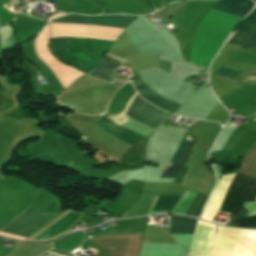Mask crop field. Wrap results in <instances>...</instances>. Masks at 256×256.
Instances as JSON below:
<instances>
[{
  "mask_svg": "<svg viewBox=\"0 0 256 256\" xmlns=\"http://www.w3.org/2000/svg\"><path fill=\"white\" fill-rule=\"evenodd\" d=\"M235 176L226 174L219 179L201 219L213 223L212 217L217 214ZM255 199L256 179L238 174L219 213L235 216L231 224L233 226L256 228V216L243 217L244 202H254Z\"/></svg>",
  "mask_w": 256,
  "mask_h": 256,
  "instance_id": "obj_1",
  "label": "crop field"
},
{
  "mask_svg": "<svg viewBox=\"0 0 256 256\" xmlns=\"http://www.w3.org/2000/svg\"><path fill=\"white\" fill-rule=\"evenodd\" d=\"M240 21L237 16L210 10L193 37L189 63L208 70L212 58Z\"/></svg>",
  "mask_w": 256,
  "mask_h": 256,
  "instance_id": "obj_2",
  "label": "crop field"
},
{
  "mask_svg": "<svg viewBox=\"0 0 256 256\" xmlns=\"http://www.w3.org/2000/svg\"><path fill=\"white\" fill-rule=\"evenodd\" d=\"M137 16L108 15L88 17L83 15H68L51 21L57 24H73L103 27L126 28ZM50 24L52 37H87L95 39L116 40L125 29L103 28L73 25Z\"/></svg>",
  "mask_w": 256,
  "mask_h": 256,
  "instance_id": "obj_3",
  "label": "crop field"
},
{
  "mask_svg": "<svg viewBox=\"0 0 256 256\" xmlns=\"http://www.w3.org/2000/svg\"><path fill=\"white\" fill-rule=\"evenodd\" d=\"M136 96L133 98V100L136 98ZM133 100L131 101V103L133 102ZM130 104L128 105V107L130 106ZM125 115L143 124H146L154 129H156L162 122H164L166 119H168L171 116L170 114L162 112L156 109L155 107L151 106L146 101H144L140 96H138L135 99V101L126 111ZM125 118L126 116L124 115L116 114V115H112L110 120L121 124ZM93 124L99 126L100 128L104 129L105 131L111 133L116 137L127 129L103 117H101L97 122ZM118 138L134 146L135 144L139 143L142 139H144L145 136L137 134L130 130H127L123 134H121Z\"/></svg>",
  "mask_w": 256,
  "mask_h": 256,
  "instance_id": "obj_4",
  "label": "crop field"
},
{
  "mask_svg": "<svg viewBox=\"0 0 256 256\" xmlns=\"http://www.w3.org/2000/svg\"><path fill=\"white\" fill-rule=\"evenodd\" d=\"M49 36L50 30L49 25H47L36 38L34 47L38 57L55 73L60 83L66 89L83 73L67 67L53 57L47 46Z\"/></svg>",
  "mask_w": 256,
  "mask_h": 256,
  "instance_id": "obj_5",
  "label": "crop field"
},
{
  "mask_svg": "<svg viewBox=\"0 0 256 256\" xmlns=\"http://www.w3.org/2000/svg\"><path fill=\"white\" fill-rule=\"evenodd\" d=\"M50 49L64 63L84 73L97 65L96 62L80 51L73 38H51Z\"/></svg>",
  "mask_w": 256,
  "mask_h": 256,
  "instance_id": "obj_6",
  "label": "crop field"
},
{
  "mask_svg": "<svg viewBox=\"0 0 256 256\" xmlns=\"http://www.w3.org/2000/svg\"><path fill=\"white\" fill-rule=\"evenodd\" d=\"M36 214V212L25 211L19 217L16 218L14 222H12L9 226H7L0 234L11 237L15 234L20 228H22L28 221H30ZM57 214H49V213H40L36 216L31 222H29L23 229H21L14 238L25 239L51 218H53Z\"/></svg>",
  "mask_w": 256,
  "mask_h": 256,
  "instance_id": "obj_7",
  "label": "crop field"
},
{
  "mask_svg": "<svg viewBox=\"0 0 256 256\" xmlns=\"http://www.w3.org/2000/svg\"><path fill=\"white\" fill-rule=\"evenodd\" d=\"M215 225L198 222L188 256H208L213 242Z\"/></svg>",
  "mask_w": 256,
  "mask_h": 256,
  "instance_id": "obj_8",
  "label": "crop field"
},
{
  "mask_svg": "<svg viewBox=\"0 0 256 256\" xmlns=\"http://www.w3.org/2000/svg\"><path fill=\"white\" fill-rule=\"evenodd\" d=\"M184 137V136H183ZM183 139V138H182ZM182 141V140H181ZM195 138L185 136L178 151L174 155L170 163H168L163 175L160 178H175L179 170L188 160L193 148Z\"/></svg>",
  "mask_w": 256,
  "mask_h": 256,
  "instance_id": "obj_9",
  "label": "crop field"
},
{
  "mask_svg": "<svg viewBox=\"0 0 256 256\" xmlns=\"http://www.w3.org/2000/svg\"><path fill=\"white\" fill-rule=\"evenodd\" d=\"M143 83V82H141ZM145 84V83H143ZM148 88H150L153 92H155L157 95H159L160 97H162L163 99L172 102L174 104H177L179 106H181V104L174 102L168 98H166L165 96L161 95L160 93L156 92L153 88H151L149 85L145 84ZM146 86L142 85V84H137L135 87V89L137 90V92L140 94V96L145 99L146 101H148L149 103L163 109L166 111H169L171 113H174L176 111V109L179 107L177 105H174L172 103H169L165 100H163L162 98H160L159 96H157L155 93H153L150 89H148ZM179 109V108H178ZM177 109V110H178Z\"/></svg>",
  "mask_w": 256,
  "mask_h": 256,
  "instance_id": "obj_10",
  "label": "crop field"
},
{
  "mask_svg": "<svg viewBox=\"0 0 256 256\" xmlns=\"http://www.w3.org/2000/svg\"><path fill=\"white\" fill-rule=\"evenodd\" d=\"M255 3L251 0H218L213 10L244 17Z\"/></svg>",
  "mask_w": 256,
  "mask_h": 256,
  "instance_id": "obj_11",
  "label": "crop field"
},
{
  "mask_svg": "<svg viewBox=\"0 0 256 256\" xmlns=\"http://www.w3.org/2000/svg\"><path fill=\"white\" fill-rule=\"evenodd\" d=\"M214 77L230 80L240 84H256V74H248L222 67Z\"/></svg>",
  "mask_w": 256,
  "mask_h": 256,
  "instance_id": "obj_12",
  "label": "crop field"
},
{
  "mask_svg": "<svg viewBox=\"0 0 256 256\" xmlns=\"http://www.w3.org/2000/svg\"><path fill=\"white\" fill-rule=\"evenodd\" d=\"M119 64L120 62L105 56L103 61L95 66L93 69H91L89 72H87V74L109 82L114 76V73L111 71Z\"/></svg>",
  "mask_w": 256,
  "mask_h": 256,
  "instance_id": "obj_13",
  "label": "crop field"
},
{
  "mask_svg": "<svg viewBox=\"0 0 256 256\" xmlns=\"http://www.w3.org/2000/svg\"><path fill=\"white\" fill-rule=\"evenodd\" d=\"M256 28V8L249 14L242 25L237 29L236 34L231 38L229 43L241 45L243 41L251 34Z\"/></svg>",
  "mask_w": 256,
  "mask_h": 256,
  "instance_id": "obj_14",
  "label": "crop field"
},
{
  "mask_svg": "<svg viewBox=\"0 0 256 256\" xmlns=\"http://www.w3.org/2000/svg\"><path fill=\"white\" fill-rule=\"evenodd\" d=\"M196 222V220L174 216L170 234H193Z\"/></svg>",
  "mask_w": 256,
  "mask_h": 256,
  "instance_id": "obj_15",
  "label": "crop field"
},
{
  "mask_svg": "<svg viewBox=\"0 0 256 256\" xmlns=\"http://www.w3.org/2000/svg\"><path fill=\"white\" fill-rule=\"evenodd\" d=\"M84 239V232L79 231L69 234L65 238L53 243L55 249H60L63 251H68L82 243Z\"/></svg>",
  "mask_w": 256,
  "mask_h": 256,
  "instance_id": "obj_16",
  "label": "crop field"
},
{
  "mask_svg": "<svg viewBox=\"0 0 256 256\" xmlns=\"http://www.w3.org/2000/svg\"><path fill=\"white\" fill-rule=\"evenodd\" d=\"M157 197L158 196H156L155 201H156ZM179 198H180V196H159L156 201L155 206H154V203H155V201H154L150 211L152 210L153 206H154V208L152 211H171V209L177 203Z\"/></svg>",
  "mask_w": 256,
  "mask_h": 256,
  "instance_id": "obj_17",
  "label": "crop field"
},
{
  "mask_svg": "<svg viewBox=\"0 0 256 256\" xmlns=\"http://www.w3.org/2000/svg\"><path fill=\"white\" fill-rule=\"evenodd\" d=\"M206 198L207 196L197 194L196 197L193 199L190 207L188 208L186 215L198 217Z\"/></svg>",
  "mask_w": 256,
  "mask_h": 256,
  "instance_id": "obj_18",
  "label": "crop field"
},
{
  "mask_svg": "<svg viewBox=\"0 0 256 256\" xmlns=\"http://www.w3.org/2000/svg\"><path fill=\"white\" fill-rule=\"evenodd\" d=\"M249 47H256V31L242 46V48H249Z\"/></svg>",
  "mask_w": 256,
  "mask_h": 256,
  "instance_id": "obj_19",
  "label": "crop field"
},
{
  "mask_svg": "<svg viewBox=\"0 0 256 256\" xmlns=\"http://www.w3.org/2000/svg\"><path fill=\"white\" fill-rule=\"evenodd\" d=\"M49 252H52V253H54V254H57V255H61V256H73V255H71V254H67V253H63V252H59V251H55V250H51V251H49ZM48 252V253H49ZM48 253H46V254H48ZM46 254H44V255H42V256H50V255H52V254H50V255H46ZM55 256V255H54Z\"/></svg>",
  "mask_w": 256,
  "mask_h": 256,
  "instance_id": "obj_20",
  "label": "crop field"
},
{
  "mask_svg": "<svg viewBox=\"0 0 256 256\" xmlns=\"http://www.w3.org/2000/svg\"><path fill=\"white\" fill-rule=\"evenodd\" d=\"M62 15H66V14H63V13H56V14L50 15V20L53 19V18H55V17L62 16Z\"/></svg>",
  "mask_w": 256,
  "mask_h": 256,
  "instance_id": "obj_21",
  "label": "crop field"
},
{
  "mask_svg": "<svg viewBox=\"0 0 256 256\" xmlns=\"http://www.w3.org/2000/svg\"><path fill=\"white\" fill-rule=\"evenodd\" d=\"M4 241V239L3 238H0V245H1V243Z\"/></svg>",
  "mask_w": 256,
  "mask_h": 256,
  "instance_id": "obj_22",
  "label": "crop field"
},
{
  "mask_svg": "<svg viewBox=\"0 0 256 256\" xmlns=\"http://www.w3.org/2000/svg\"><path fill=\"white\" fill-rule=\"evenodd\" d=\"M254 1H256V0H254Z\"/></svg>",
  "mask_w": 256,
  "mask_h": 256,
  "instance_id": "obj_23",
  "label": "crop field"
},
{
  "mask_svg": "<svg viewBox=\"0 0 256 256\" xmlns=\"http://www.w3.org/2000/svg\"><path fill=\"white\" fill-rule=\"evenodd\" d=\"M17 3V2H16Z\"/></svg>",
  "mask_w": 256,
  "mask_h": 256,
  "instance_id": "obj_24",
  "label": "crop field"
}]
</instances>
